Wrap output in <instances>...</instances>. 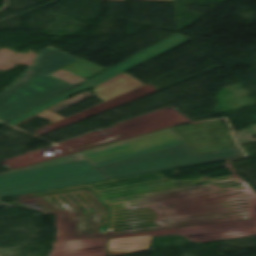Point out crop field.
<instances>
[{
	"mask_svg": "<svg viewBox=\"0 0 256 256\" xmlns=\"http://www.w3.org/2000/svg\"><path fill=\"white\" fill-rule=\"evenodd\" d=\"M220 121L169 128L0 174V198L242 157Z\"/></svg>",
	"mask_w": 256,
	"mask_h": 256,
	"instance_id": "8a807250",
	"label": "crop field"
},
{
	"mask_svg": "<svg viewBox=\"0 0 256 256\" xmlns=\"http://www.w3.org/2000/svg\"><path fill=\"white\" fill-rule=\"evenodd\" d=\"M94 64L53 47L42 50L29 67L33 71L23 73L19 83L0 94V120L6 122L73 86L48 75L54 70L63 67L88 79L106 69Z\"/></svg>",
	"mask_w": 256,
	"mask_h": 256,
	"instance_id": "ac0d7876",
	"label": "crop field"
},
{
	"mask_svg": "<svg viewBox=\"0 0 256 256\" xmlns=\"http://www.w3.org/2000/svg\"><path fill=\"white\" fill-rule=\"evenodd\" d=\"M143 62H145V61L133 57V58H131V59H129V60L111 68V69H109L108 71L98 75L97 77L87 81L86 83L76 87L75 89H73V90H71V91H69V92H67V93H65V94H63V95L45 103L43 105H41L40 107H38V108L20 116V117H18V118L14 119L10 122H8L7 124L14 125L18 122H21V121L26 120L30 117H33V116L47 110L48 108L52 107L53 105L69 98L73 94L80 93L84 90L90 89V88H92V87H94V86H96V85H98V84H100V83H102V82L120 74L121 72H124V71H126V70H128V69H130V68H132V67H134L138 64H141Z\"/></svg>",
	"mask_w": 256,
	"mask_h": 256,
	"instance_id": "34b2d1b8",
	"label": "crop field"
},
{
	"mask_svg": "<svg viewBox=\"0 0 256 256\" xmlns=\"http://www.w3.org/2000/svg\"><path fill=\"white\" fill-rule=\"evenodd\" d=\"M144 85L126 73L94 88V94L107 101L125 92ZM104 101V102H105Z\"/></svg>",
	"mask_w": 256,
	"mask_h": 256,
	"instance_id": "412701ff",
	"label": "crop field"
},
{
	"mask_svg": "<svg viewBox=\"0 0 256 256\" xmlns=\"http://www.w3.org/2000/svg\"><path fill=\"white\" fill-rule=\"evenodd\" d=\"M150 242H151V237L110 242L109 252H110V255L116 256V255L134 253L142 250H148Z\"/></svg>",
	"mask_w": 256,
	"mask_h": 256,
	"instance_id": "f4fd0767",
	"label": "crop field"
},
{
	"mask_svg": "<svg viewBox=\"0 0 256 256\" xmlns=\"http://www.w3.org/2000/svg\"><path fill=\"white\" fill-rule=\"evenodd\" d=\"M187 41L181 34H175L164 41L156 44L155 46L145 50L144 52L136 55L135 57L143 59L145 61Z\"/></svg>",
	"mask_w": 256,
	"mask_h": 256,
	"instance_id": "dd49c442",
	"label": "crop field"
},
{
	"mask_svg": "<svg viewBox=\"0 0 256 256\" xmlns=\"http://www.w3.org/2000/svg\"><path fill=\"white\" fill-rule=\"evenodd\" d=\"M39 116L44 118V119H46V120H48V121H50V122H52V123H54V122H56L58 120L63 119L62 117H60V116H58V115H56V114H54V113H52L50 111L45 112V113H43V114H41Z\"/></svg>",
	"mask_w": 256,
	"mask_h": 256,
	"instance_id": "e52e79f7",
	"label": "crop field"
},
{
	"mask_svg": "<svg viewBox=\"0 0 256 256\" xmlns=\"http://www.w3.org/2000/svg\"><path fill=\"white\" fill-rule=\"evenodd\" d=\"M165 1H173V0H165Z\"/></svg>",
	"mask_w": 256,
	"mask_h": 256,
	"instance_id": "d8731c3e",
	"label": "crop field"
},
{
	"mask_svg": "<svg viewBox=\"0 0 256 256\" xmlns=\"http://www.w3.org/2000/svg\"><path fill=\"white\" fill-rule=\"evenodd\" d=\"M0 206H4V205L0 203Z\"/></svg>",
	"mask_w": 256,
	"mask_h": 256,
	"instance_id": "5a996713",
	"label": "crop field"
},
{
	"mask_svg": "<svg viewBox=\"0 0 256 256\" xmlns=\"http://www.w3.org/2000/svg\"><path fill=\"white\" fill-rule=\"evenodd\" d=\"M2 123H0V125H1Z\"/></svg>",
	"mask_w": 256,
	"mask_h": 256,
	"instance_id": "3316defc",
	"label": "crop field"
}]
</instances>
